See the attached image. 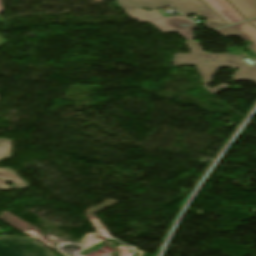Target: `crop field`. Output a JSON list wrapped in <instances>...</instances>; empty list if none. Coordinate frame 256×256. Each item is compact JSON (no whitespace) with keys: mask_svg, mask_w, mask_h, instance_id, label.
<instances>
[{"mask_svg":"<svg viewBox=\"0 0 256 256\" xmlns=\"http://www.w3.org/2000/svg\"><path fill=\"white\" fill-rule=\"evenodd\" d=\"M3 11L2 0H0V13Z\"/></svg>","mask_w":256,"mask_h":256,"instance_id":"obj_12","label":"crop field"},{"mask_svg":"<svg viewBox=\"0 0 256 256\" xmlns=\"http://www.w3.org/2000/svg\"><path fill=\"white\" fill-rule=\"evenodd\" d=\"M0 256H52L31 237H0Z\"/></svg>","mask_w":256,"mask_h":256,"instance_id":"obj_3","label":"crop field"},{"mask_svg":"<svg viewBox=\"0 0 256 256\" xmlns=\"http://www.w3.org/2000/svg\"><path fill=\"white\" fill-rule=\"evenodd\" d=\"M117 3L122 8H135V7H144V8H157L165 7L153 0H117Z\"/></svg>","mask_w":256,"mask_h":256,"instance_id":"obj_9","label":"crop field"},{"mask_svg":"<svg viewBox=\"0 0 256 256\" xmlns=\"http://www.w3.org/2000/svg\"><path fill=\"white\" fill-rule=\"evenodd\" d=\"M246 19L256 17V0H229Z\"/></svg>","mask_w":256,"mask_h":256,"instance_id":"obj_8","label":"crop field"},{"mask_svg":"<svg viewBox=\"0 0 256 256\" xmlns=\"http://www.w3.org/2000/svg\"><path fill=\"white\" fill-rule=\"evenodd\" d=\"M11 157V141L0 139V159ZM6 182H13L15 186H7ZM28 185L13 171L0 168V190H10L12 188H24Z\"/></svg>","mask_w":256,"mask_h":256,"instance_id":"obj_4","label":"crop field"},{"mask_svg":"<svg viewBox=\"0 0 256 256\" xmlns=\"http://www.w3.org/2000/svg\"><path fill=\"white\" fill-rule=\"evenodd\" d=\"M170 8H176L184 15L209 10L210 8L202 0H156Z\"/></svg>","mask_w":256,"mask_h":256,"instance_id":"obj_7","label":"crop field"},{"mask_svg":"<svg viewBox=\"0 0 256 256\" xmlns=\"http://www.w3.org/2000/svg\"><path fill=\"white\" fill-rule=\"evenodd\" d=\"M196 15H202L206 17L205 25L211 27L213 29H217L220 27L228 26L226 22H224L217 14H215L212 10L197 13Z\"/></svg>","mask_w":256,"mask_h":256,"instance_id":"obj_10","label":"crop field"},{"mask_svg":"<svg viewBox=\"0 0 256 256\" xmlns=\"http://www.w3.org/2000/svg\"><path fill=\"white\" fill-rule=\"evenodd\" d=\"M216 31L225 36H239L244 40L254 42V44L249 45L248 48L256 53V28H254L249 23L245 22L242 24L222 28Z\"/></svg>","mask_w":256,"mask_h":256,"instance_id":"obj_6","label":"crop field"},{"mask_svg":"<svg viewBox=\"0 0 256 256\" xmlns=\"http://www.w3.org/2000/svg\"><path fill=\"white\" fill-rule=\"evenodd\" d=\"M129 17L140 22H150L161 32H178L187 39L193 38L192 29L196 23L192 21H167L155 11H144L143 9L125 10Z\"/></svg>","mask_w":256,"mask_h":256,"instance_id":"obj_2","label":"crop field"},{"mask_svg":"<svg viewBox=\"0 0 256 256\" xmlns=\"http://www.w3.org/2000/svg\"><path fill=\"white\" fill-rule=\"evenodd\" d=\"M251 22L256 25V20H252ZM251 22H250V23H251ZM255 25H254V26H255Z\"/></svg>","mask_w":256,"mask_h":256,"instance_id":"obj_13","label":"crop field"},{"mask_svg":"<svg viewBox=\"0 0 256 256\" xmlns=\"http://www.w3.org/2000/svg\"><path fill=\"white\" fill-rule=\"evenodd\" d=\"M160 14V11H156ZM161 15V14H160ZM167 20H189L188 18L184 17V16H176V17H164Z\"/></svg>","mask_w":256,"mask_h":256,"instance_id":"obj_11","label":"crop field"},{"mask_svg":"<svg viewBox=\"0 0 256 256\" xmlns=\"http://www.w3.org/2000/svg\"><path fill=\"white\" fill-rule=\"evenodd\" d=\"M185 43L192 49V52L190 54H176L174 57V65H197L206 90L210 93L214 94L229 87V85L225 83L214 89L207 87V84L212 82V77L216 74L219 67L240 69L234 72L232 80L252 81L256 83V66H251L240 56L207 53L201 49L199 42L195 40L186 41ZM206 60L210 61V63H205L204 61ZM217 88H222V90H218ZM236 89H240V87H236Z\"/></svg>","mask_w":256,"mask_h":256,"instance_id":"obj_1","label":"crop field"},{"mask_svg":"<svg viewBox=\"0 0 256 256\" xmlns=\"http://www.w3.org/2000/svg\"><path fill=\"white\" fill-rule=\"evenodd\" d=\"M228 24L244 21L241 15L226 0H203Z\"/></svg>","mask_w":256,"mask_h":256,"instance_id":"obj_5","label":"crop field"}]
</instances>
